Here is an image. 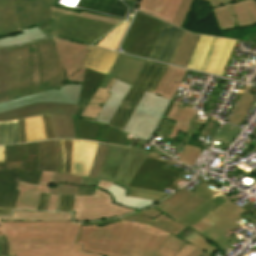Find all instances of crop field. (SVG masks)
Instances as JSON below:
<instances>
[{"mask_svg": "<svg viewBox=\"0 0 256 256\" xmlns=\"http://www.w3.org/2000/svg\"><path fill=\"white\" fill-rule=\"evenodd\" d=\"M81 223L73 222H0L5 231L11 256H104L81 252L74 244ZM204 251L172 236L154 256H200Z\"/></svg>", "mask_w": 256, "mask_h": 256, "instance_id": "obj_1", "label": "crop field"}, {"mask_svg": "<svg viewBox=\"0 0 256 256\" xmlns=\"http://www.w3.org/2000/svg\"><path fill=\"white\" fill-rule=\"evenodd\" d=\"M169 233L139 222L82 226L75 243L82 251L110 256H153Z\"/></svg>", "mask_w": 256, "mask_h": 256, "instance_id": "obj_2", "label": "crop field"}, {"mask_svg": "<svg viewBox=\"0 0 256 256\" xmlns=\"http://www.w3.org/2000/svg\"><path fill=\"white\" fill-rule=\"evenodd\" d=\"M79 85H64L60 91H46L0 103V121L49 113L57 138L76 139L73 116Z\"/></svg>", "mask_w": 256, "mask_h": 256, "instance_id": "obj_3", "label": "crop field"}, {"mask_svg": "<svg viewBox=\"0 0 256 256\" xmlns=\"http://www.w3.org/2000/svg\"><path fill=\"white\" fill-rule=\"evenodd\" d=\"M30 94L29 44L0 48V102Z\"/></svg>", "mask_w": 256, "mask_h": 256, "instance_id": "obj_4", "label": "crop field"}, {"mask_svg": "<svg viewBox=\"0 0 256 256\" xmlns=\"http://www.w3.org/2000/svg\"><path fill=\"white\" fill-rule=\"evenodd\" d=\"M227 197L219 193L205 200L195 195L167 215L200 234L239 208Z\"/></svg>", "mask_w": 256, "mask_h": 256, "instance_id": "obj_5", "label": "crop field"}, {"mask_svg": "<svg viewBox=\"0 0 256 256\" xmlns=\"http://www.w3.org/2000/svg\"><path fill=\"white\" fill-rule=\"evenodd\" d=\"M32 94L58 89L60 90L65 73L56 56L53 38L30 44Z\"/></svg>", "mask_w": 256, "mask_h": 256, "instance_id": "obj_6", "label": "crop field"}, {"mask_svg": "<svg viewBox=\"0 0 256 256\" xmlns=\"http://www.w3.org/2000/svg\"><path fill=\"white\" fill-rule=\"evenodd\" d=\"M194 0H184L174 25L182 26ZM209 1L220 30L242 27L256 23L254 0H207ZM176 26V27H177Z\"/></svg>", "mask_w": 256, "mask_h": 256, "instance_id": "obj_7", "label": "crop field"}, {"mask_svg": "<svg viewBox=\"0 0 256 256\" xmlns=\"http://www.w3.org/2000/svg\"><path fill=\"white\" fill-rule=\"evenodd\" d=\"M112 185L113 183L100 181L95 196H75L74 221L83 222L114 218L137 211L114 203L111 195L106 193Z\"/></svg>", "mask_w": 256, "mask_h": 256, "instance_id": "obj_8", "label": "crop field"}, {"mask_svg": "<svg viewBox=\"0 0 256 256\" xmlns=\"http://www.w3.org/2000/svg\"><path fill=\"white\" fill-rule=\"evenodd\" d=\"M167 68V65L147 61L135 87H131L122 101L120 108L109 123V126L123 130L134 109L137 107L144 91L147 90L153 93Z\"/></svg>", "mask_w": 256, "mask_h": 256, "instance_id": "obj_9", "label": "crop field"}, {"mask_svg": "<svg viewBox=\"0 0 256 256\" xmlns=\"http://www.w3.org/2000/svg\"><path fill=\"white\" fill-rule=\"evenodd\" d=\"M168 103L169 100L145 91L123 131L149 140Z\"/></svg>", "mask_w": 256, "mask_h": 256, "instance_id": "obj_10", "label": "crop field"}, {"mask_svg": "<svg viewBox=\"0 0 256 256\" xmlns=\"http://www.w3.org/2000/svg\"><path fill=\"white\" fill-rule=\"evenodd\" d=\"M162 25L163 22L137 12L122 44L123 51L147 58Z\"/></svg>", "mask_w": 256, "mask_h": 256, "instance_id": "obj_11", "label": "crop field"}, {"mask_svg": "<svg viewBox=\"0 0 256 256\" xmlns=\"http://www.w3.org/2000/svg\"><path fill=\"white\" fill-rule=\"evenodd\" d=\"M52 17L57 19L52 34L89 43H93L114 27L113 25L54 12H52Z\"/></svg>", "mask_w": 256, "mask_h": 256, "instance_id": "obj_12", "label": "crop field"}, {"mask_svg": "<svg viewBox=\"0 0 256 256\" xmlns=\"http://www.w3.org/2000/svg\"><path fill=\"white\" fill-rule=\"evenodd\" d=\"M186 70L178 69L169 66L166 74L160 81L155 94L161 95L169 100H171L174 92L181 83ZM178 102H174L167 119L177 121L170 137L175 138L179 131L186 132L190 126L192 120L194 119L197 110H193L186 106L185 109L176 107Z\"/></svg>", "mask_w": 256, "mask_h": 256, "instance_id": "obj_13", "label": "crop field"}, {"mask_svg": "<svg viewBox=\"0 0 256 256\" xmlns=\"http://www.w3.org/2000/svg\"><path fill=\"white\" fill-rule=\"evenodd\" d=\"M166 164V162L146 158L131 180L129 187L161 192H163L165 187L174 190L179 189L173 183L182 172L164 168Z\"/></svg>", "mask_w": 256, "mask_h": 256, "instance_id": "obj_14", "label": "crop field"}, {"mask_svg": "<svg viewBox=\"0 0 256 256\" xmlns=\"http://www.w3.org/2000/svg\"><path fill=\"white\" fill-rule=\"evenodd\" d=\"M16 15L20 30L37 25L47 37L50 34L55 19L51 18L50 6L55 7L57 0H14Z\"/></svg>", "mask_w": 256, "mask_h": 256, "instance_id": "obj_15", "label": "crop field"}, {"mask_svg": "<svg viewBox=\"0 0 256 256\" xmlns=\"http://www.w3.org/2000/svg\"><path fill=\"white\" fill-rule=\"evenodd\" d=\"M137 151L155 157L158 156V154L133 146H131V148H124L110 145L96 179L117 184Z\"/></svg>", "mask_w": 256, "mask_h": 256, "instance_id": "obj_16", "label": "crop field"}, {"mask_svg": "<svg viewBox=\"0 0 256 256\" xmlns=\"http://www.w3.org/2000/svg\"><path fill=\"white\" fill-rule=\"evenodd\" d=\"M245 211L246 210L240 207L238 210L220 220L200 235L208 239L220 250H225L227 247L238 242L237 240L230 237L232 233L229 231L240 225L235 221H239L243 224L245 223V219L240 216Z\"/></svg>", "mask_w": 256, "mask_h": 256, "instance_id": "obj_17", "label": "crop field"}, {"mask_svg": "<svg viewBox=\"0 0 256 256\" xmlns=\"http://www.w3.org/2000/svg\"><path fill=\"white\" fill-rule=\"evenodd\" d=\"M169 25L164 23L148 58L172 62L184 31Z\"/></svg>", "mask_w": 256, "mask_h": 256, "instance_id": "obj_18", "label": "crop field"}, {"mask_svg": "<svg viewBox=\"0 0 256 256\" xmlns=\"http://www.w3.org/2000/svg\"><path fill=\"white\" fill-rule=\"evenodd\" d=\"M54 39L57 55L64 66L66 78H68L70 75L76 73L80 68L84 67V58L90 46L58 38Z\"/></svg>", "mask_w": 256, "mask_h": 256, "instance_id": "obj_19", "label": "crop field"}, {"mask_svg": "<svg viewBox=\"0 0 256 256\" xmlns=\"http://www.w3.org/2000/svg\"><path fill=\"white\" fill-rule=\"evenodd\" d=\"M145 63L146 60L119 54L109 76H106L100 87L106 88L112 77L118 78L121 81L134 86ZM117 72H119V74H117Z\"/></svg>", "mask_w": 256, "mask_h": 256, "instance_id": "obj_20", "label": "crop field"}, {"mask_svg": "<svg viewBox=\"0 0 256 256\" xmlns=\"http://www.w3.org/2000/svg\"><path fill=\"white\" fill-rule=\"evenodd\" d=\"M182 1L183 0H140L138 10L172 24Z\"/></svg>", "mask_w": 256, "mask_h": 256, "instance_id": "obj_21", "label": "crop field"}, {"mask_svg": "<svg viewBox=\"0 0 256 256\" xmlns=\"http://www.w3.org/2000/svg\"><path fill=\"white\" fill-rule=\"evenodd\" d=\"M22 170L0 171V207L15 208L20 191L16 187Z\"/></svg>", "mask_w": 256, "mask_h": 256, "instance_id": "obj_22", "label": "crop field"}, {"mask_svg": "<svg viewBox=\"0 0 256 256\" xmlns=\"http://www.w3.org/2000/svg\"><path fill=\"white\" fill-rule=\"evenodd\" d=\"M129 88L130 85L116 79L109 91L112 93V95L107 100L95 121L108 125L115 112L117 111L121 101L127 94Z\"/></svg>", "mask_w": 256, "mask_h": 256, "instance_id": "obj_23", "label": "crop field"}, {"mask_svg": "<svg viewBox=\"0 0 256 256\" xmlns=\"http://www.w3.org/2000/svg\"><path fill=\"white\" fill-rule=\"evenodd\" d=\"M119 53L91 46L85 66L108 75Z\"/></svg>", "mask_w": 256, "mask_h": 256, "instance_id": "obj_24", "label": "crop field"}, {"mask_svg": "<svg viewBox=\"0 0 256 256\" xmlns=\"http://www.w3.org/2000/svg\"><path fill=\"white\" fill-rule=\"evenodd\" d=\"M97 144L96 142L77 140L73 174L88 176Z\"/></svg>", "mask_w": 256, "mask_h": 256, "instance_id": "obj_25", "label": "crop field"}, {"mask_svg": "<svg viewBox=\"0 0 256 256\" xmlns=\"http://www.w3.org/2000/svg\"><path fill=\"white\" fill-rule=\"evenodd\" d=\"M82 177L55 173L46 193L59 195L57 209H59L61 194L75 195Z\"/></svg>", "mask_w": 256, "mask_h": 256, "instance_id": "obj_26", "label": "crop field"}, {"mask_svg": "<svg viewBox=\"0 0 256 256\" xmlns=\"http://www.w3.org/2000/svg\"><path fill=\"white\" fill-rule=\"evenodd\" d=\"M105 74L96 72L90 69H86L83 81L80 96L77 103L75 115L79 117L80 113L90 100L93 93L99 87L102 80L105 78Z\"/></svg>", "mask_w": 256, "mask_h": 256, "instance_id": "obj_27", "label": "crop field"}, {"mask_svg": "<svg viewBox=\"0 0 256 256\" xmlns=\"http://www.w3.org/2000/svg\"><path fill=\"white\" fill-rule=\"evenodd\" d=\"M38 148L37 170L58 172L59 155L56 140L38 142Z\"/></svg>", "mask_w": 256, "mask_h": 256, "instance_id": "obj_28", "label": "crop field"}, {"mask_svg": "<svg viewBox=\"0 0 256 256\" xmlns=\"http://www.w3.org/2000/svg\"><path fill=\"white\" fill-rule=\"evenodd\" d=\"M1 221H72V214L14 211L13 215L9 217H1Z\"/></svg>", "mask_w": 256, "mask_h": 256, "instance_id": "obj_29", "label": "crop field"}, {"mask_svg": "<svg viewBox=\"0 0 256 256\" xmlns=\"http://www.w3.org/2000/svg\"><path fill=\"white\" fill-rule=\"evenodd\" d=\"M20 32L13 0H0V37Z\"/></svg>", "mask_w": 256, "mask_h": 256, "instance_id": "obj_30", "label": "crop field"}, {"mask_svg": "<svg viewBox=\"0 0 256 256\" xmlns=\"http://www.w3.org/2000/svg\"><path fill=\"white\" fill-rule=\"evenodd\" d=\"M160 216V215H159ZM123 220H133V221H139L145 224L156 226L162 230H165L173 235H177L182 230H184V225L178 223L177 221L170 219L167 215H161L157 219L153 220L139 212L132 214L130 216L122 218Z\"/></svg>", "mask_w": 256, "mask_h": 256, "instance_id": "obj_31", "label": "crop field"}, {"mask_svg": "<svg viewBox=\"0 0 256 256\" xmlns=\"http://www.w3.org/2000/svg\"><path fill=\"white\" fill-rule=\"evenodd\" d=\"M38 161L37 142L26 144L25 169L19 181H26L37 184L41 171H36Z\"/></svg>", "mask_w": 256, "mask_h": 256, "instance_id": "obj_32", "label": "crop field"}, {"mask_svg": "<svg viewBox=\"0 0 256 256\" xmlns=\"http://www.w3.org/2000/svg\"><path fill=\"white\" fill-rule=\"evenodd\" d=\"M25 144L5 146V163H0V170L24 168Z\"/></svg>", "mask_w": 256, "mask_h": 256, "instance_id": "obj_33", "label": "crop field"}, {"mask_svg": "<svg viewBox=\"0 0 256 256\" xmlns=\"http://www.w3.org/2000/svg\"><path fill=\"white\" fill-rule=\"evenodd\" d=\"M37 185L19 182L18 187L21 189L15 209L37 210L40 194L34 193Z\"/></svg>", "mask_w": 256, "mask_h": 256, "instance_id": "obj_34", "label": "crop field"}, {"mask_svg": "<svg viewBox=\"0 0 256 256\" xmlns=\"http://www.w3.org/2000/svg\"><path fill=\"white\" fill-rule=\"evenodd\" d=\"M108 193L112 194L115 203L123 206L133 207L138 210H141L143 208H146L157 203L149 200L126 197V190L115 184L111 187Z\"/></svg>", "mask_w": 256, "mask_h": 256, "instance_id": "obj_35", "label": "crop field"}, {"mask_svg": "<svg viewBox=\"0 0 256 256\" xmlns=\"http://www.w3.org/2000/svg\"><path fill=\"white\" fill-rule=\"evenodd\" d=\"M199 35H193L188 32H185L180 46L178 48L177 54L173 60V64H177L183 67H186L191 53L197 43Z\"/></svg>", "mask_w": 256, "mask_h": 256, "instance_id": "obj_36", "label": "crop field"}, {"mask_svg": "<svg viewBox=\"0 0 256 256\" xmlns=\"http://www.w3.org/2000/svg\"><path fill=\"white\" fill-rule=\"evenodd\" d=\"M115 79L113 78L111 83L108 85L106 89L98 88V90L95 92L85 109L83 110L82 114L80 117L90 119V120H95L97 114L101 110L100 107H98L99 103H105L108 97L110 96L109 93V88L113 84Z\"/></svg>", "mask_w": 256, "mask_h": 256, "instance_id": "obj_37", "label": "crop field"}, {"mask_svg": "<svg viewBox=\"0 0 256 256\" xmlns=\"http://www.w3.org/2000/svg\"><path fill=\"white\" fill-rule=\"evenodd\" d=\"M251 89H252V86L248 85L246 90L244 91L241 99L239 100L237 106L235 107V109L228 121L229 123L237 125V126H240V124L242 123L243 118L246 115L248 108L251 106L252 100L254 98V95L249 93L251 91Z\"/></svg>", "mask_w": 256, "mask_h": 256, "instance_id": "obj_38", "label": "crop field"}, {"mask_svg": "<svg viewBox=\"0 0 256 256\" xmlns=\"http://www.w3.org/2000/svg\"><path fill=\"white\" fill-rule=\"evenodd\" d=\"M224 41H225V39H222V38H216V37L212 38L210 46L206 53V56L201 64L199 70L207 72V73L212 72Z\"/></svg>", "mask_w": 256, "mask_h": 256, "instance_id": "obj_39", "label": "crop field"}, {"mask_svg": "<svg viewBox=\"0 0 256 256\" xmlns=\"http://www.w3.org/2000/svg\"><path fill=\"white\" fill-rule=\"evenodd\" d=\"M194 194L186 191L185 189H180L173 193L171 196H169L167 199L163 200L159 204L153 206L154 208L160 210L164 214L169 213L174 208L188 200L190 197H192Z\"/></svg>", "mask_w": 256, "mask_h": 256, "instance_id": "obj_40", "label": "crop field"}, {"mask_svg": "<svg viewBox=\"0 0 256 256\" xmlns=\"http://www.w3.org/2000/svg\"><path fill=\"white\" fill-rule=\"evenodd\" d=\"M77 139H96L103 125L74 117Z\"/></svg>", "mask_w": 256, "mask_h": 256, "instance_id": "obj_41", "label": "crop field"}, {"mask_svg": "<svg viewBox=\"0 0 256 256\" xmlns=\"http://www.w3.org/2000/svg\"><path fill=\"white\" fill-rule=\"evenodd\" d=\"M177 237L203 249L209 254L219 250L208 240L188 228L177 235Z\"/></svg>", "mask_w": 256, "mask_h": 256, "instance_id": "obj_42", "label": "crop field"}, {"mask_svg": "<svg viewBox=\"0 0 256 256\" xmlns=\"http://www.w3.org/2000/svg\"><path fill=\"white\" fill-rule=\"evenodd\" d=\"M125 137L126 134L104 125L96 141L130 146L134 138H132V140L129 141L124 139Z\"/></svg>", "mask_w": 256, "mask_h": 256, "instance_id": "obj_43", "label": "crop field"}, {"mask_svg": "<svg viewBox=\"0 0 256 256\" xmlns=\"http://www.w3.org/2000/svg\"><path fill=\"white\" fill-rule=\"evenodd\" d=\"M27 142L45 140L42 116L25 118Z\"/></svg>", "mask_w": 256, "mask_h": 256, "instance_id": "obj_44", "label": "crop field"}, {"mask_svg": "<svg viewBox=\"0 0 256 256\" xmlns=\"http://www.w3.org/2000/svg\"><path fill=\"white\" fill-rule=\"evenodd\" d=\"M19 143L17 120L0 122V145Z\"/></svg>", "mask_w": 256, "mask_h": 256, "instance_id": "obj_45", "label": "crop field"}, {"mask_svg": "<svg viewBox=\"0 0 256 256\" xmlns=\"http://www.w3.org/2000/svg\"><path fill=\"white\" fill-rule=\"evenodd\" d=\"M212 37L200 35L198 44L187 65L188 68L198 69L210 43Z\"/></svg>", "mask_w": 256, "mask_h": 256, "instance_id": "obj_46", "label": "crop field"}, {"mask_svg": "<svg viewBox=\"0 0 256 256\" xmlns=\"http://www.w3.org/2000/svg\"><path fill=\"white\" fill-rule=\"evenodd\" d=\"M128 22L118 25L113 31L104 36V39L97 45L115 50L126 30Z\"/></svg>", "mask_w": 256, "mask_h": 256, "instance_id": "obj_47", "label": "crop field"}, {"mask_svg": "<svg viewBox=\"0 0 256 256\" xmlns=\"http://www.w3.org/2000/svg\"><path fill=\"white\" fill-rule=\"evenodd\" d=\"M236 41L227 39L220 53L213 74L223 75Z\"/></svg>", "mask_w": 256, "mask_h": 256, "instance_id": "obj_48", "label": "crop field"}, {"mask_svg": "<svg viewBox=\"0 0 256 256\" xmlns=\"http://www.w3.org/2000/svg\"><path fill=\"white\" fill-rule=\"evenodd\" d=\"M30 41H34V38L30 34L29 30L26 29L17 35L0 38V47H9Z\"/></svg>", "mask_w": 256, "mask_h": 256, "instance_id": "obj_49", "label": "crop field"}, {"mask_svg": "<svg viewBox=\"0 0 256 256\" xmlns=\"http://www.w3.org/2000/svg\"><path fill=\"white\" fill-rule=\"evenodd\" d=\"M127 196L150 199L154 201H160L168 196V194H164L161 192L156 191H149V190H141V189H134V188H127Z\"/></svg>", "mask_w": 256, "mask_h": 256, "instance_id": "obj_50", "label": "crop field"}, {"mask_svg": "<svg viewBox=\"0 0 256 256\" xmlns=\"http://www.w3.org/2000/svg\"><path fill=\"white\" fill-rule=\"evenodd\" d=\"M108 146L109 145H106V144H101V143L98 144V147H97V150L95 153V157H94V161H93V164H92V167H91L88 177L96 178V176L99 172L102 160L106 154Z\"/></svg>", "mask_w": 256, "mask_h": 256, "instance_id": "obj_51", "label": "crop field"}, {"mask_svg": "<svg viewBox=\"0 0 256 256\" xmlns=\"http://www.w3.org/2000/svg\"><path fill=\"white\" fill-rule=\"evenodd\" d=\"M201 152L202 149L186 145L178 160L186 165L193 166Z\"/></svg>", "mask_w": 256, "mask_h": 256, "instance_id": "obj_52", "label": "crop field"}, {"mask_svg": "<svg viewBox=\"0 0 256 256\" xmlns=\"http://www.w3.org/2000/svg\"><path fill=\"white\" fill-rule=\"evenodd\" d=\"M51 9H52V11H55V12H61V13L76 15V16L89 18V19H93V20H97V21H101V22H105V23H109V24H113V25H116L121 21V20L114 19V18H104V17L92 15V14L86 13V12H82L81 14H78V13H74V12H71V11H63L61 9H56V8H53V7H51Z\"/></svg>", "mask_w": 256, "mask_h": 256, "instance_id": "obj_53", "label": "crop field"}, {"mask_svg": "<svg viewBox=\"0 0 256 256\" xmlns=\"http://www.w3.org/2000/svg\"><path fill=\"white\" fill-rule=\"evenodd\" d=\"M98 183V180L83 177L76 195H94Z\"/></svg>", "mask_w": 256, "mask_h": 256, "instance_id": "obj_54", "label": "crop field"}, {"mask_svg": "<svg viewBox=\"0 0 256 256\" xmlns=\"http://www.w3.org/2000/svg\"><path fill=\"white\" fill-rule=\"evenodd\" d=\"M62 141H63L64 153H65V171H64V173L70 174L73 140H62Z\"/></svg>", "mask_w": 256, "mask_h": 256, "instance_id": "obj_55", "label": "crop field"}, {"mask_svg": "<svg viewBox=\"0 0 256 256\" xmlns=\"http://www.w3.org/2000/svg\"><path fill=\"white\" fill-rule=\"evenodd\" d=\"M54 173L43 172L35 192L45 193Z\"/></svg>", "mask_w": 256, "mask_h": 256, "instance_id": "obj_56", "label": "crop field"}, {"mask_svg": "<svg viewBox=\"0 0 256 256\" xmlns=\"http://www.w3.org/2000/svg\"><path fill=\"white\" fill-rule=\"evenodd\" d=\"M207 186L208 185L201 182L200 184H198L196 186L198 189L194 190L192 193L197 194V195H199V196H201L205 199L214 195V194H216V193H218L215 190H213V189H211Z\"/></svg>", "mask_w": 256, "mask_h": 256, "instance_id": "obj_57", "label": "crop field"}, {"mask_svg": "<svg viewBox=\"0 0 256 256\" xmlns=\"http://www.w3.org/2000/svg\"><path fill=\"white\" fill-rule=\"evenodd\" d=\"M73 198H74V196H63L62 195L59 211L72 212Z\"/></svg>", "mask_w": 256, "mask_h": 256, "instance_id": "obj_58", "label": "crop field"}, {"mask_svg": "<svg viewBox=\"0 0 256 256\" xmlns=\"http://www.w3.org/2000/svg\"><path fill=\"white\" fill-rule=\"evenodd\" d=\"M42 116H43L46 140L47 139L56 138L54 133H53V130H52V126H51V122H50V119H49V115L45 114V115H42Z\"/></svg>", "mask_w": 256, "mask_h": 256, "instance_id": "obj_59", "label": "crop field"}, {"mask_svg": "<svg viewBox=\"0 0 256 256\" xmlns=\"http://www.w3.org/2000/svg\"><path fill=\"white\" fill-rule=\"evenodd\" d=\"M20 143L26 142L24 118L18 120Z\"/></svg>", "mask_w": 256, "mask_h": 256, "instance_id": "obj_60", "label": "crop field"}, {"mask_svg": "<svg viewBox=\"0 0 256 256\" xmlns=\"http://www.w3.org/2000/svg\"><path fill=\"white\" fill-rule=\"evenodd\" d=\"M140 212L147 216H150L153 219L162 214L160 211L154 209L153 207H151L149 209L142 210Z\"/></svg>", "mask_w": 256, "mask_h": 256, "instance_id": "obj_61", "label": "crop field"}, {"mask_svg": "<svg viewBox=\"0 0 256 256\" xmlns=\"http://www.w3.org/2000/svg\"><path fill=\"white\" fill-rule=\"evenodd\" d=\"M0 243H2L1 255H8V240L5 235L0 236Z\"/></svg>", "mask_w": 256, "mask_h": 256, "instance_id": "obj_62", "label": "crop field"}, {"mask_svg": "<svg viewBox=\"0 0 256 256\" xmlns=\"http://www.w3.org/2000/svg\"><path fill=\"white\" fill-rule=\"evenodd\" d=\"M85 69H86L85 67L80 69L79 72L72 75L68 80L75 81V82H81L82 78H83V75H84V72H85Z\"/></svg>", "mask_w": 256, "mask_h": 256, "instance_id": "obj_63", "label": "crop field"}, {"mask_svg": "<svg viewBox=\"0 0 256 256\" xmlns=\"http://www.w3.org/2000/svg\"><path fill=\"white\" fill-rule=\"evenodd\" d=\"M30 32L33 35V37L35 38V40H38L41 38H46V36L43 34V32L37 27L30 29Z\"/></svg>", "mask_w": 256, "mask_h": 256, "instance_id": "obj_64", "label": "crop field"}, {"mask_svg": "<svg viewBox=\"0 0 256 256\" xmlns=\"http://www.w3.org/2000/svg\"><path fill=\"white\" fill-rule=\"evenodd\" d=\"M58 196L50 195L47 210L55 211Z\"/></svg>", "mask_w": 256, "mask_h": 256, "instance_id": "obj_65", "label": "crop field"}, {"mask_svg": "<svg viewBox=\"0 0 256 256\" xmlns=\"http://www.w3.org/2000/svg\"><path fill=\"white\" fill-rule=\"evenodd\" d=\"M138 155H142V156H145V157H150V158H155V157H152V156H149V155H145V154H142V153H139L137 152V154L135 155V157L132 159V161L130 162L128 168L126 169L125 173L123 174L121 180L123 179V177L125 176L126 172L128 171L129 167L131 166V164L134 162V160L137 158ZM155 159H159V158H155ZM159 160H162V161H166V162H170V163H174V162H171V161H167V160H163V159H159ZM177 164V163H175ZM121 180L119 181V183L121 182ZM118 183V185H119Z\"/></svg>", "mask_w": 256, "mask_h": 256, "instance_id": "obj_66", "label": "crop field"}, {"mask_svg": "<svg viewBox=\"0 0 256 256\" xmlns=\"http://www.w3.org/2000/svg\"><path fill=\"white\" fill-rule=\"evenodd\" d=\"M119 221H121L120 218L114 219V220H102V221H95V222L82 223V225L104 224V223L119 222Z\"/></svg>", "mask_w": 256, "mask_h": 256, "instance_id": "obj_67", "label": "crop field"}, {"mask_svg": "<svg viewBox=\"0 0 256 256\" xmlns=\"http://www.w3.org/2000/svg\"><path fill=\"white\" fill-rule=\"evenodd\" d=\"M145 160V157L142 158V160L140 161L139 165L137 166V168L135 169V171L133 172V174L131 175V177L128 179V181L126 182V184L124 185V188H127L130 180L132 179V177L134 176V174L136 173V171L138 170V168L140 167V165L142 164V162Z\"/></svg>", "mask_w": 256, "mask_h": 256, "instance_id": "obj_68", "label": "crop field"}, {"mask_svg": "<svg viewBox=\"0 0 256 256\" xmlns=\"http://www.w3.org/2000/svg\"><path fill=\"white\" fill-rule=\"evenodd\" d=\"M58 141V147H59V154H60V166H59V173H61L62 170V152H61V147H60V142Z\"/></svg>", "mask_w": 256, "mask_h": 256, "instance_id": "obj_69", "label": "crop field"}, {"mask_svg": "<svg viewBox=\"0 0 256 256\" xmlns=\"http://www.w3.org/2000/svg\"><path fill=\"white\" fill-rule=\"evenodd\" d=\"M11 211L12 210H10V209H2V208H0V215H10Z\"/></svg>", "mask_w": 256, "mask_h": 256, "instance_id": "obj_70", "label": "crop field"}, {"mask_svg": "<svg viewBox=\"0 0 256 256\" xmlns=\"http://www.w3.org/2000/svg\"><path fill=\"white\" fill-rule=\"evenodd\" d=\"M0 162H4V146L0 147Z\"/></svg>", "mask_w": 256, "mask_h": 256, "instance_id": "obj_71", "label": "crop field"}, {"mask_svg": "<svg viewBox=\"0 0 256 256\" xmlns=\"http://www.w3.org/2000/svg\"><path fill=\"white\" fill-rule=\"evenodd\" d=\"M142 158V156L139 158V160L137 161V163L135 164V166L133 167V169L131 170L130 174L128 175V177L126 178V180L124 181V183L122 184V187L123 185L125 184V182L127 181V179L130 177V175L132 174V172L134 171V169L136 168L137 164L139 163L140 159Z\"/></svg>", "mask_w": 256, "mask_h": 256, "instance_id": "obj_72", "label": "crop field"}, {"mask_svg": "<svg viewBox=\"0 0 256 256\" xmlns=\"http://www.w3.org/2000/svg\"><path fill=\"white\" fill-rule=\"evenodd\" d=\"M75 144H76V140H74V146H73V159H72V170H71V174H72V171H73V165H74Z\"/></svg>", "mask_w": 256, "mask_h": 256, "instance_id": "obj_73", "label": "crop field"}, {"mask_svg": "<svg viewBox=\"0 0 256 256\" xmlns=\"http://www.w3.org/2000/svg\"><path fill=\"white\" fill-rule=\"evenodd\" d=\"M60 142H61V147H62V152H63L62 141L60 140ZM63 170H64V153H63ZM62 173H63V171H62Z\"/></svg>", "mask_w": 256, "mask_h": 256, "instance_id": "obj_74", "label": "crop field"}, {"mask_svg": "<svg viewBox=\"0 0 256 256\" xmlns=\"http://www.w3.org/2000/svg\"><path fill=\"white\" fill-rule=\"evenodd\" d=\"M2 234H5L4 232L3 233H0V235H2Z\"/></svg>", "mask_w": 256, "mask_h": 256, "instance_id": "obj_75", "label": "crop field"}, {"mask_svg": "<svg viewBox=\"0 0 256 256\" xmlns=\"http://www.w3.org/2000/svg\"><path fill=\"white\" fill-rule=\"evenodd\" d=\"M0 249H1V244H0Z\"/></svg>", "mask_w": 256, "mask_h": 256, "instance_id": "obj_76", "label": "crop field"}]
</instances>
